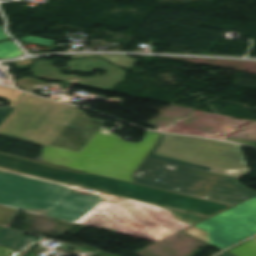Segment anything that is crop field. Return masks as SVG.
I'll return each mask as SVG.
<instances>
[{
    "label": "crop field",
    "instance_id": "1",
    "mask_svg": "<svg viewBox=\"0 0 256 256\" xmlns=\"http://www.w3.org/2000/svg\"><path fill=\"white\" fill-rule=\"evenodd\" d=\"M247 173L238 145L163 134L135 182L236 206L194 226L208 233L209 243L225 249L256 234V192L238 183Z\"/></svg>",
    "mask_w": 256,
    "mask_h": 256
},
{
    "label": "crop field",
    "instance_id": "2",
    "mask_svg": "<svg viewBox=\"0 0 256 256\" xmlns=\"http://www.w3.org/2000/svg\"><path fill=\"white\" fill-rule=\"evenodd\" d=\"M103 125L76 107L24 93L0 127V136L82 153L83 171L132 182V173L160 134L147 132L142 142L133 144L115 139Z\"/></svg>",
    "mask_w": 256,
    "mask_h": 256
},
{
    "label": "crop field",
    "instance_id": "3",
    "mask_svg": "<svg viewBox=\"0 0 256 256\" xmlns=\"http://www.w3.org/2000/svg\"><path fill=\"white\" fill-rule=\"evenodd\" d=\"M102 204L127 208L151 205L105 193L75 190L12 173L0 174V205L16 209H43L48 211L49 217L74 222L82 221L89 214L99 213ZM152 206L165 210L179 224L193 225L205 219L188 212Z\"/></svg>",
    "mask_w": 256,
    "mask_h": 256
},
{
    "label": "crop field",
    "instance_id": "4",
    "mask_svg": "<svg viewBox=\"0 0 256 256\" xmlns=\"http://www.w3.org/2000/svg\"><path fill=\"white\" fill-rule=\"evenodd\" d=\"M42 161L60 166L77 168L82 171L83 155L64 149L45 146Z\"/></svg>",
    "mask_w": 256,
    "mask_h": 256
},
{
    "label": "crop field",
    "instance_id": "5",
    "mask_svg": "<svg viewBox=\"0 0 256 256\" xmlns=\"http://www.w3.org/2000/svg\"><path fill=\"white\" fill-rule=\"evenodd\" d=\"M22 236V232L2 228L0 231V246L15 249Z\"/></svg>",
    "mask_w": 256,
    "mask_h": 256
},
{
    "label": "crop field",
    "instance_id": "6",
    "mask_svg": "<svg viewBox=\"0 0 256 256\" xmlns=\"http://www.w3.org/2000/svg\"><path fill=\"white\" fill-rule=\"evenodd\" d=\"M235 256H256V237L228 250Z\"/></svg>",
    "mask_w": 256,
    "mask_h": 256
},
{
    "label": "crop field",
    "instance_id": "7",
    "mask_svg": "<svg viewBox=\"0 0 256 256\" xmlns=\"http://www.w3.org/2000/svg\"><path fill=\"white\" fill-rule=\"evenodd\" d=\"M23 54L13 41L0 44V59L15 58Z\"/></svg>",
    "mask_w": 256,
    "mask_h": 256
},
{
    "label": "crop field",
    "instance_id": "8",
    "mask_svg": "<svg viewBox=\"0 0 256 256\" xmlns=\"http://www.w3.org/2000/svg\"><path fill=\"white\" fill-rule=\"evenodd\" d=\"M19 210L0 206V226L9 228Z\"/></svg>",
    "mask_w": 256,
    "mask_h": 256
},
{
    "label": "crop field",
    "instance_id": "9",
    "mask_svg": "<svg viewBox=\"0 0 256 256\" xmlns=\"http://www.w3.org/2000/svg\"><path fill=\"white\" fill-rule=\"evenodd\" d=\"M83 56H91V55H74V58L83 57ZM97 56L103 57L108 61H110L111 63L115 65L123 66V67H130L136 61V59H132L126 56H102V55H97Z\"/></svg>",
    "mask_w": 256,
    "mask_h": 256
},
{
    "label": "crop field",
    "instance_id": "10",
    "mask_svg": "<svg viewBox=\"0 0 256 256\" xmlns=\"http://www.w3.org/2000/svg\"><path fill=\"white\" fill-rule=\"evenodd\" d=\"M41 239L23 236L20 243L16 247L17 250H21L24 252H30ZM25 249H29V251H25Z\"/></svg>",
    "mask_w": 256,
    "mask_h": 256
},
{
    "label": "crop field",
    "instance_id": "11",
    "mask_svg": "<svg viewBox=\"0 0 256 256\" xmlns=\"http://www.w3.org/2000/svg\"><path fill=\"white\" fill-rule=\"evenodd\" d=\"M20 40L30 41V42L40 43V44H46V45H51V46H54L56 43V41L46 40V39L32 37V36H29L25 39H20Z\"/></svg>",
    "mask_w": 256,
    "mask_h": 256
},
{
    "label": "crop field",
    "instance_id": "12",
    "mask_svg": "<svg viewBox=\"0 0 256 256\" xmlns=\"http://www.w3.org/2000/svg\"><path fill=\"white\" fill-rule=\"evenodd\" d=\"M185 232H187V233H189V234H191V235H193L195 237H198V238H200V239H202V240H204L206 242L209 241V239L207 238V234L206 233H204V232H202L200 230H197V229H195L193 227L185 230Z\"/></svg>",
    "mask_w": 256,
    "mask_h": 256
},
{
    "label": "crop field",
    "instance_id": "13",
    "mask_svg": "<svg viewBox=\"0 0 256 256\" xmlns=\"http://www.w3.org/2000/svg\"><path fill=\"white\" fill-rule=\"evenodd\" d=\"M13 109L14 108L11 106L0 108V124L12 112Z\"/></svg>",
    "mask_w": 256,
    "mask_h": 256
},
{
    "label": "crop field",
    "instance_id": "14",
    "mask_svg": "<svg viewBox=\"0 0 256 256\" xmlns=\"http://www.w3.org/2000/svg\"><path fill=\"white\" fill-rule=\"evenodd\" d=\"M33 59H34V58H32V59H26V60H24V61L14 62V63H17L19 69L25 70V69L29 68V66L31 65Z\"/></svg>",
    "mask_w": 256,
    "mask_h": 256
},
{
    "label": "crop field",
    "instance_id": "15",
    "mask_svg": "<svg viewBox=\"0 0 256 256\" xmlns=\"http://www.w3.org/2000/svg\"><path fill=\"white\" fill-rule=\"evenodd\" d=\"M225 141L229 142H234V143H240V144H245V145H250V146H256V143L253 142H248V141H243L239 139H234V138H229V139H224Z\"/></svg>",
    "mask_w": 256,
    "mask_h": 256
},
{
    "label": "crop field",
    "instance_id": "16",
    "mask_svg": "<svg viewBox=\"0 0 256 256\" xmlns=\"http://www.w3.org/2000/svg\"><path fill=\"white\" fill-rule=\"evenodd\" d=\"M69 85H70V84H67V83H62L61 85L50 84L49 87H53V88H56V89H60V90H62L63 92H66V90H67V88H68Z\"/></svg>",
    "mask_w": 256,
    "mask_h": 256
},
{
    "label": "crop field",
    "instance_id": "17",
    "mask_svg": "<svg viewBox=\"0 0 256 256\" xmlns=\"http://www.w3.org/2000/svg\"><path fill=\"white\" fill-rule=\"evenodd\" d=\"M12 251L13 250H11V249H6V248L0 247V256H11Z\"/></svg>",
    "mask_w": 256,
    "mask_h": 256
},
{
    "label": "crop field",
    "instance_id": "18",
    "mask_svg": "<svg viewBox=\"0 0 256 256\" xmlns=\"http://www.w3.org/2000/svg\"><path fill=\"white\" fill-rule=\"evenodd\" d=\"M10 37L7 36L4 31L2 30V28L0 27V41L1 40H5V39H9Z\"/></svg>",
    "mask_w": 256,
    "mask_h": 256
},
{
    "label": "crop field",
    "instance_id": "19",
    "mask_svg": "<svg viewBox=\"0 0 256 256\" xmlns=\"http://www.w3.org/2000/svg\"><path fill=\"white\" fill-rule=\"evenodd\" d=\"M24 252H20V251H15V255L14 256H24Z\"/></svg>",
    "mask_w": 256,
    "mask_h": 256
},
{
    "label": "crop field",
    "instance_id": "20",
    "mask_svg": "<svg viewBox=\"0 0 256 256\" xmlns=\"http://www.w3.org/2000/svg\"><path fill=\"white\" fill-rule=\"evenodd\" d=\"M220 255H222V256H233V255H231V254H229V253H227V252H224V253H222V254H220Z\"/></svg>",
    "mask_w": 256,
    "mask_h": 256
},
{
    "label": "crop field",
    "instance_id": "21",
    "mask_svg": "<svg viewBox=\"0 0 256 256\" xmlns=\"http://www.w3.org/2000/svg\"><path fill=\"white\" fill-rule=\"evenodd\" d=\"M55 256H58V255H55Z\"/></svg>",
    "mask_w": 256,
    "mask_h": 256
},
{
    "label": "crop field",
    "instance_id": "22",
    "mask_svg": "<svg viewBox=\"0 0 256 256\" xmlns=\"http://www.w3.org/2000/svg\"><path fill=\"white\" fill-rule=\"evenodd\" d=\"M218 256H220V255H218Z\"/></svg>",
    "mask_w": 256,
    "mask_h": 256
}]
</instances>
